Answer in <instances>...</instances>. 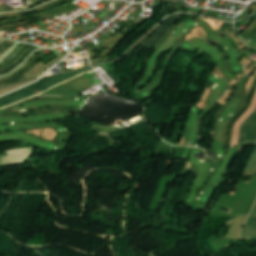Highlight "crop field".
Returning a JSON list of instances; mask_svg holds the SVG:
<instances>
[{
	"label": "crop field",
	"instance_id": "8a807250",
	"mask_svg": "<svg viewBox=\"0 0 256 256\" xmlns=\"http://www.w3.org/2000/svg\"><path fill=\"white\" fill-rule=\"evenodd\" d=\"M255 89H256V79L250 89L246 104L243 106L242 110L239 111L237 113V115L232 119V121L230 122L228 129H227V136H226V142H225V146H224V150L230 147V143H231V134H232V130H233V126L234 123L237 121V119L242 116L244 114V112L247 110V108L249 107V105L252 102L254 93H255Z\"/></svg>",
	"mask_w": 256,
	"mask_h": 256
},
{
	"label": "crop field",
	"instance_id": "ac0d7876",
	"mask_svg": "<svg viewBox=\"0 0 256 256\" xmlns=\"http://www.w3.org/2000/svg\"><path fill=\"white\" fill-rule=\"evenodd\" d=\"M42 57L43 56L37 54L24 67H22L16 73L12 74L11 76H9L7 78L0 79V85L9 83V82H15L17 80L29 79L28 77L24 76L23 74L26 73L31 67H33L36 64V62L39 59H41Z\"/></svg>",
	"mask_w": 256,
	"mask_h": 256
},
{
	"label": "crop field",
	"instance_id": "34b2d1b8",
	"mask_svg": "<svg viewBox=\"0 0 256 256\" xmlns=\"http://www.w3.org/2000/svg\"><path fill=\"white\" fill-rule=\"evenodd\" d=\"M56 76H57V75H56ZM54 77H55V76L50 77L49 79H47V80L44 81L43 83H41V84H39V85H37V86H35V87H33V88H31V89L25 91V92H22V93H20V94H18V95H15V96H12V97H10V98L1 100V101H0V108H1V107H4V106H7V105H9V104H12V103H14V102H17V101H19V100H22V99H24V98H27V97H29V96H33V95H36V94H38V93L43 92V91H41V90H38L37 88L40 87V86H42V85H44L45 83H47L49 80H51V79L54 78Z\"/></svg>",
	"mask_w": 256,
	"mask_h": 256
},
{
	"label": "crop field",
	"instance_id": "412701ff",
	"mask_svg": "<svg viewBox=\"0 0 256 256\" xmlns=\"http://www.w3.org/2000/svg\"><path fill=\"white\" fill-rule=\"evenodd\" d=\"M256 232V204L242 231L240 240L254 238Z\"/></svg>",
	"mask_w": 256,
	"mask_h": 256
},
{
	"label": "crop field",
	"instance_id": "f4fd0767",
	"mask_svg": "<svg viewBox=\"0 0 256 256\" xmlns=\"http://www.w3.org/2000/svg\"><path fill=\"white\" fill-rule=\"evenodd\" d=\"M91 69L92 68L61 74L60 76H58L57 78L53 79L52 81H50L49 83L45 84L44 86L40 87L39 89L45 91V90H47L48 88H50V87H52L54 85H57V84L65 81V80H67L69 78H72V77H74L76 75H79V74H81L83 72H86V71H89Z\"/></svg>",
	"mask_w": 256,
	"mask_h": 256
},
{
	"label": "crop field",
	"instance_id": "dd49c442",
	"mask_svg": "<svg viewBox=\"0 0 256 256\" xmlns=\"http://www.w3.org/2000/svg\"><path fill=\"white\" fill-rule=\"evenodd\" d=\"M244 144H256V117L246 127Z\"/></svg>",
	"mask_w": 256,
	"mask_h": 256
},
{
	"label": "crop field",
	"instance_id": "e52e79f7",
	"mask_svg": "<svg viewBox=\"0 0 256 256\" xmlns=\"http://www.w3.org/2000/svg\"><path fill=\"white\" fill-rule=\"evenodd\" d=\"M174 16H172V17H170V18H168L166 21H164L162 24H161V26L157 29V31L155 32V34L150 38V39H148L142 46H141V48L135 53V55H138L143 49H145L154 39H155V37L159 34V33H161V31L164 29V27L167 25V23L169 22V20L171 19V18H173Z\"/></svg>",
	"mask_w": 256,
	"mask_h": 256
},
{
	"label": "crop field",
	"instance_id": "d8731c3e",
	"mask_svg": "<svg viewBox=\"0 0 256 256\" xmlns=\"http://www.w3.org/2000/svg\"><path fill=\"white\" fill-rule=\"evenodd\" d=\"M182 15H177V16H175L169 23H168V25L166 26V28L163 30V32L160 34V35H158L157 37H156V39L147 47V48H149V49H153L154 48V46L164 37V35H165V33H166V31H167V29L169 28V26L172 24V23H174L176 20H178L180 17H181Z\"/></svg>",
	"mask_w": 256,
	"mask_h": 256
},
{
	"label": "crop field",
	"instance_id": "5a996713",
	"mask_svg": "<svg viewBox=\"0 0 256 256\" xmlns=\"http://www.w3.org/2000/svg\"><path fill=\"white\" fill-rule=\"evenodd\" d=\"M256 168V149L251 157V159L249 160L247 166H246V170L245 172L255 169Z\"/></svg>",
	"mask_w": 256,
	"mask_h": 256
},
{
	"label": "crop field",
	"instance_id": "3316defc",
	"mask_svg": "<svg viewBox=\"0 0 256 256\" xmlns=\"http://www.w3.org/2000/svg\"><path fill=\"white\" fill-rule=\"evenodd\" d=\"M254 116H256V110H255V111L253 112V114L246 120V122L243 124V126L241 125L242 128H241V132H240V138H239L238 145L243 143L244 129H245L247 123H248Z\"/></svg>",
	"mask_w": 256,
	"mask_h": 256
},
{
	"label": "crop field",
	"instance_id": "28ad6ade",
	"mask_svg": "<svg viewBox=\"0 0 256 256\" xmlns=\"http://www.w3.org/2000/svg\"><path fill=\"white\" fill-rule=\"evenodd\" d=\"M247 43L250 45L252 49L256 46V32L253 34V36Z\"/></svg>",
	"mask_w": 256,
	"mask_h": 256
},
{
	"label": "crop field",
	"instance_id": "d1516ede",
	"mask_svg": "<svg viewBox=\"0 0 256 256\" xmlns=\"http://www.w3.org/2000/svg\"><path fill=\"white\" fill-rule=\"evenodd\" d=\"M254 51H256V49Z\"/></svg>",
	"mask_w": 256,
	"mask_h": 256
},
{
	"label": "crop field",
	"instance_id": "22f410ed",
	"mask_svg": "<svg viewBox=\"0 0 256 256\" xmlns=\"http://www.w3.org/2000/svg\"><path fill=\"white\" fill-rule=\"evenodd\" d=\"M1 69V68H0Z\"/></svg>",
	"mask_w": 256,
	"mask_h": 256
}]
</instances>
